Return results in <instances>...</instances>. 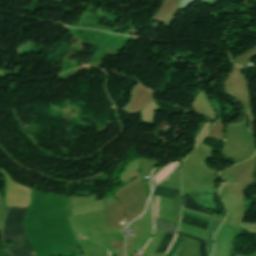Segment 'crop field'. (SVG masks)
<instances>
[{
	"label": "crop field",
	"mask_w": 256,
	"mask_h": 256,
	"mask_svg": "<svg viewBox=\"0 0 256 256\" xmlns=\"http://www.w3.org/2000/svg\"><path fill=\"white\" fill-rule=\"evenodd\" d=\"M28 208L9 209L3 230L4 241H12L6 246L12 256H33V250L23 229V219Z\"/></svg>",
	"instance_id": "8a807250"
},
{
	"label": "crop field",
	"mask_w": 256,
	"mask_h": 256,
	"mask_svg": "<svg viewBox=\"0 0 256 256\" xmlns=\"http://www.w3.org/2000/svg\"><path fill=\"white\" fill-rule=\"evenodd\" d=\"M184 197L186 199V201L183 205L184 208L191 209V210H194V211L212 216V214H210L209 212L204 210L201 206H199L187 194H184ZM181 221L185 222V223H188V224H191V225H194L196 227L205 229V230H206V227H207V224H208L207 221H203V220H199V219H195V218H191V217H187V216H183V215H182ZM177 234L200 241V254H201V256H206L205 241L204 240L197 239V238H194V237H191V236H188V235H185V234H181V233H178V232H177ZM181 236H177V237L175 236L176 237V239L174 238L175 242L173 240L174 244L172 242L173 246H172V244L170 245L169 249L171 248V246H172V248L170 249V251L168 249L169 253L167 251L168 254H166L165 256H175L177 254L178 250L180 249L182 243L185 240V237H181Z\"/></svg>",
	"instance_id": "ac0d7876"
},
{
	"label": "crop field",
	"mask_w": 256,
	"mask_h": 256,
	"mask_svg": "<svg viewBox=\"0 0 256 256\" xmlns=\"http://www.w3.org/2000/svg\"><path fill=\"white\" fill-rule=\"evenodd\" d=\"M156 221V227L157 228H160L162 230H165V231H168V232H171V233H175L176 229H177V225H174L170 222H167L165 220H162V219H155ZM166 232L165 236L163 237L156 253L158 252H165L166 248L168 247V245L170 244L172 238H173V234H170Z\"/></svg>",
	"instance_id": "34b2d1b8"
},
{
	"label": "crop field",
	"mask_w": 256,
	"mask_h": 256,
	"mask_svg": "<svg viewBox=\"0 0 256 256\" xmlns=\"http://www.w3.org/2000/svg\"><path fill=\"white\" fill-rule=\"evenodd\" d=\"M221 225V222L215 221V220H210L208 224V228L206 231V252L207 256H210L213 252V242L212 238L214 233L217 231L219 226Z\"/></svg>",
	"instance_id": "412701ff"
},
{
	"label": "crop field",
	"mask_w": 256,
	"mask_h": 256,
	"mask_svg": "<svg viewBox=\"0 0 256 256\" xmlns=\"http://www.w3.org/2000/svg\"><path fill=\"white\" fill-rule=\"evenodd\" d=\"M152 194L174 199L175 197H177L180 194V191L173 190V189H166V188L156 186Z\"/></svg>",
	"instance_id": "f4fd0767"
},
{
	"label": "crop field",
	"mask_w": 256,
	"mask_h": 256,
	"mask_svg": "<svg viewBox=\"0 0 256 256\" xmlns=\"http://www.w3.org/2000/svg\"><path fill=\"white\" fill-rule=\"evenodd\" d=\"M1 238V230H0V256H11L9 252L3 247Z\"/></svg>",
	"instance_id": "dd49c442"
},
{
	"label": "crop field",
	"mask_w": 256,
	"mask_h": 256,
	"mask_svg": "<svg viewBox=\"0 0 256 256\" xmlns=\"http://www.w3.org/2000/svg\"><path fill=\"white\" fill-rule=\"evenodd\" d=\"M157 201V200H156Z\"/></svg>",
	"instance_id": "e52e79f7"
}]
</instances>
